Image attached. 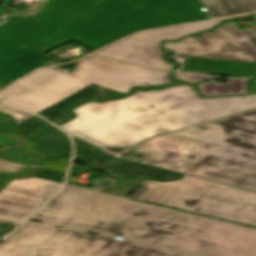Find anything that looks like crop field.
Listing matches in <instances>:
<instances>
[{"instance_id":"crop-field-18","label":"crop field","mask_w":256,"mask_h":256,"mask_svg":"<svg viewBox=\"0 0 256 256\" xmlns=\"http://www.w3.org/2000/svg\"><path fill=\"white\" fill-rule=\"evenodd\" d=\"M49 123L45 120L38 118L36 116L16 125L15 127L9 129L12 131L20 132L27 136H33L39 132V128L48 125Z\"/></svg>"},{"instance_id":"crop-field-14","label":"crop field","mask_w":256,"mask_h":256,"mask_svg":"<svg viewBox=\"0 0 256 256\" xmlns=\"http://www.w3.org/2000/svg\"><path fill=\"white\" fill-rule=\"evenodd\" d=\"M107 167L125 175L146 176L149 179H156V180H172L183 175L179 173H174V172H170L162 169H157V168L133 163L123 159H117L115 162L111 164H107Z\"/></svg>"},{"instance_id":"crop-field-15","label":"crop field","mask_w":256,"mask_h":256,"mask_svg":"<svg viewBox=\"0 0 256 256\" xmlns=\"http://www.w3.org/2000/svg\"><path fill=\"white\" fill-rule=\"evenodd\" d=\"M213 18L256 11V0H200Z\"/></svg>"},{"instance_id":"crop-field-7","label":"crop field","mask_w":256,"mask_h":256,"mask_svg":"<svg viewBox=\"0 0 256 256\" xmlns=\"http://www.w3.org/2000/svg\"><path fill=\"white\" fill-rule=\"evenodd\" d=\"M164 49L174 50L173 55L256 62V28L240 31L232 22L197 38L165 42Z\"/></svg>"},{"instance_id":"crop-field-11","label":"crop field","mask_w":256,"mask_h":256,"mask_svg":"<svg viewBox=\"0 0 256 256\" xmlns=\"http://www.w3.org/2000/svg\"><path fill=\"white\" fill-rule=\"evenodd\" d=\"M2 134L16 136L24 141L23 147L19 149H9L6 154L11 155L13 152H26L34 150L44 157L43 164L57 163L63 160H70L71 146L66 135L57 128H52L46 134L34 141L30 142L19 137L16 134L1 132Z\"/></svg>"},{"instance_id":"crop-field-12","label":"crop field","mask_w":256,"mask_h":256,"mask_svg":"<svg viewBox=\"0 0 256 256\" xmlns=\"http://www.w3.org/2000/svg\"><path fill=\"white\" fill-rule=\"evenodd\" d=\"M180 71L256 76V63L186 57Z\"/></svg>"},{"instance_id":"crop-field-26","label":"crop field","mask_w":256,"mask_h":256,"mask_svg":"<svg viewBox=\"0 0 256 256\" xmlns=\"http://www.w3.org/2000/svg\"><path fill=\"white\" fill-rule=\"evenodd\" d=\"M31 168L32 167H26L24 170L20 171V172H17V173H14V174H19V175H27L31 172ZM9 173V172H8Z\"/></svg>"},{"instance_id":"crop-field-27","label":"crop field","mask_w":256,"mask_h":256,"mask_svg":"<svg viewBox=\"0 0 256 256\" xmlns=\"http://www.w3.org/2000/svg\"><path fill=\"white\" fill-rule=\"evenodd\" d=\"M6 146H7V143H6L4 140L0 139V152H1Z\"/></svg>"},{"instance_id":"crop-field-28","label":"crop field","mask_w":256,"mask_h":256,"mask_svg":"<svg viewBox=\"0 0 256 256\" xmlns=\"http://www.w3.org/2000/svg\"><path fill=\"white\" fill-rule=\"evenodd\" d=\"M8 10H5L3 8H0V16L3 15L4 13H6Z\"/></svg>"},{"instance_id":"crop-field-25","label":"crop field","mask_w":256,"mask_h":256,"mask_svg":"<svg viewBox=\"0 0 256 256\" xmlns=\"http://www.w3.org/2000/svg\"><path fill=\"white\" fill-rule=\"evenodd\" d=\"M34 154H28L26 157L20 159L19 161H13V162H18V163H22V164H26L29 165L31 159L33 158ZM1 159H5L3 157L0 156ZM7 160V159H5Z\"/></svg>"},{"instance_id":"crop-field-2","label":"crop field","mask_w":256,"mask_h":256,"mask_svg":"<svg viewBox=\"0 0 256 256\" xmlns=\"http://www.w3.org/2000/svg\"><path fill=\"white\" fill-rule=\"evenodd\" d=\"M32 218L206 256H256V229L70 185Z\"/></svg>"},{"instance_id":"crop-field-4","label":"crop field","mask_w":256,"mask_h":256,"mask_svg":"<svg viewBox=\"0 0 256 256\" xmlns=\"http://www.w3.org/2000/svg\"><path fill=\"white\" fill-rule=\"evenodd\" d=\"M211 19L197 0H108L26 57L0 70L6 85L47 63L43 53L74 40L92 50L134 31Z\"/></svg>"},{"instance_id":"crop-field-10","label":"crop field","mask_w":256,"mask_h":256,"mask_svg":"<svg viewBox=\"0 0 256 256\" xmlns=\"http://www.w3.org/2000/svg\"><path fill=\"white\" fill-rule=\"evenodd\" d=\"M105 1L107 0H43L35 13L70 26ZM5 19L7 18L0 22ZM29 53L0 41V69Z\"/></svg>"},{"instance_id":"crop-field-6","label":"crop field","mask_w":256,"mask_h":256,"mask_svg":"<svg viewBox=\"0 0 256 256\" xmlns=\"http://www.w3.org/2000/svg\"><path fill=\"white\" fill-rule=\"evenodd\" d=\"M26 223L0 244V256H194L99 233Z\"/></svg>"},{"instance_id":"crop-field-21","label":"crop field","mask_w":256,"mask_h":256,"mask_svg":"<svg viewBox=\"0 0 256 256\" xmlns=\"http://www.w3.org/2000/svg\"><path fill=\"white\" fill-rule=\"evenodd\" d=\"M33 176L62 183L65 174L57 171L47 170L44 168H38L37 173L34 174Z\"/></svg>"},{"instance_id":"crop-field-20","label":"crop field","mask_w":256,"mask_h":256,"mask_svg":"<svg viewBox=\"0 0 256 256\" xmlns=\"http://www.w3.org/2000/svg\"><path fill=\"white\" fill-rule=\"evenodd\" d=\"M0 111L1 112H4V113H7L13 117L16 118V124L32 117L33 115L25 112V111H22L20 109H17L15 107H12V106H9L7 104H4L2 102H0Z\"/></svg>"},{"instance_id":"crop-field-8","label":"crop field","mask_w":256,"mask_h":256,"mask_svg":"<svg viewBox=\"0 0 256 256\" xmlns=\"http://www.w3.org/2000/svg\"><path fill=\"white\" fill-rule=\"evenodd\" d=\"M250 16L251 15L142 32L123 39L93 54L151 68L171 70L174 65L165 63L161 59L163 54V52L159 50L161 40H177L186 34H195L203 30L211 29L226 20L241 19Z\"/></svg>"},{"instance_id":"crop-field-24","label":"crop field","mask_w":256,"mask_h":256,"mask_svg":"<svg viewBox=\"0 0 256 256\" xmlns=\"http://www.w3.org/2000/svg\"><path fill=\"white\" fill-rule=\"evenodd\" d=\"M68 164H69V161H64V162L58 163V164L41 165V167L55 169V170H61V171L66 172Z\"/></svg>"},{"instance_id":"crop-field-3","label":"crop field","mask_w":256,"mask_h":256,"mask_svg":"<svg viewBox=\"0 0 256 256\" xmlns=\"http://www.w3.org/2000/svg\"><path fill=\"white\" fill-rule=\"evenodd\" d=\"M252 108L256 95L199 99L192 87L181 85L90 102L73 109L77 117L59 126L99 147H130L147 137Z\"/></svg>"},{"instance_id":"crop-field-17","label":"crop field","mask_w":256,"mask_h":256,"mask_svg":"<svg viewBox=\"0 0 256 256\" xmlns=\"http://www.w3.org/2000/svg\"><path fill=\"white\" fill-rule=\"evenodd\" d=\"M75 143V156L76 160H83L90 166H95L98 163L105 164L113 157L109 156L106 152L101 149L79 139L72 137Z\"/></svg>"},{"instance_id":"crop-field-5","label":"crop field","mask_w":256,"mask_h":256,"mask_svg":"<svg viewBox=\"0 0 256 256\" xmlns=\"http://www.w3.org/2000/svg\"><path fill=\"white\" fill-rule=\"evenodd\" d=\"M76 68L64 72L51 67L39 70L0 91V99L35 114L93 83L128 93L133 86H158L173 82L168 72L87 56Z\"/></svg>"},{"instance_id":"crop-field-13","label":"crop field","mask_w":256,"mask_h":256,"mask_svg":"<svg viewBox=\"0 0 256 256\" xmlns=\"http://www.w3.org/2000/svg\"><path fill=\"white\" fill-rule=\"evenodd\" d=\"M115 92H117V91H113L110 89H106V88L91 84V85L85 87L84 89L76 92L75 94L69 96L68 98L60 101L59 103L53 105L52 107L44 110L43 112L39 113L38 115L55 123V122H58L64 118H66L67 116H69V114H67L65 112V110L68 107L74 105L75 103H77L83 99L105 97V96L110 95Z\"/></svg>"},{"instance_id":"crop-field-23","label":"crop field","mask_w":256,"mask_h":256,"mask_svg":"<svg viewBox=\"0 0 256 256\" xmlns=\"http://www.w3.org/2000/svg\"><path fill=\"white\" fill-rule=\"evenodd\" d=\"M24 167V165L8 163L0 160V171L17 172L19 170L24 169Z\"/></svg>"},{"instance_id":"crop-field-16","label":"crop field","mask_w":256,"mask_h":256,"mask_svg":"<svg viewBox=\"0 0 256 256\" xmlns=\"http://www.w3.org/2000/svg\"><path fill=\"white\" fill-rule=\"evenodd\" d=\"M246 78L231 79L225 84L221 82L198 85L204 97L216 95L245 94Z\"/></svg>"},{"instance_id":"crop-field-1","label":"crop field","mask_w":256,"mask_h":256,"mask_svg":"<svg viewBox=\"0 0 256 256\" xmlns=\"http://www.w3.org/2000/svg\"><path fill=\"white\" fill-rule=\"evenodd\" d=\"M143 163L256 191V110L148 140ZM130 198L256 226V193L185 176L145 180Z\"/></svg>"},{"instance_id":"crop-field-19","label":"crop field","mask_w":256,"mask_h":256,"mask_svg":"<svg viewBox=\"0 0 256 256\" xmlns=\"http://www.w3.org/2000/svg\"><path fill=\"white\" fill-rule=\"evenodd\" d=\"M138 180H140V178L126 179L121 177V182L110 188L111 190H114L112 194L126 197L129 192H131L135 189L136 186H138Z\"/></svg>"},{"instance_id":"crop-field-22","label":"crop field","mask_w":256,"mask_h":256,"mask_svg":"<svg viewBox=\"0 0 256 256\" xmlns=\"http://www.w3.org/2000/svg\"><path fill=\"white\" fill-rule=\"evenodd\" d=\"M174 75H175V78H177V79L189 81L194 84L202 81L206 76V75H202V74H190V73H176Z\"/></svg>"},{"instance_id":"crop-field-9","label":"crop field","mask_w":256,"mask_h":256,"mask_svg":"<svg viewBox=\"0 0 256 256\" xmlns=\"http://www.w3.org/2000/svg\"><path fill=\"white\" fill-rule=\"evenodd\" d=\"M0 222L18 226L61 184L34 177L0 176Z\"/></svg>"}]
</instances>
